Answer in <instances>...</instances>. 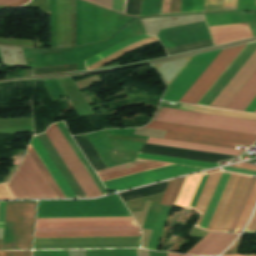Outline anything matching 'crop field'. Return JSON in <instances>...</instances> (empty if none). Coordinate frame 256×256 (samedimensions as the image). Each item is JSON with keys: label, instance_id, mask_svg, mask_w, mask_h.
Listing matches in <instances>:
<instances>
[{"label": "crop field", "instance_id": "32", "mask_svg": "<svg viewBox=\"0 0 256 256\" xmlns=\"http://www.w3.org/2000/svg\"><path fill=\"white\" fill-rule=\"evenodd\" d=\"M0 198H14L6 184L0 185Z\"/></svg>", "mask_w": 256, "mask_h": 256}, {"label": "crop field", "instance_id": "25", "mask_svg": "<svg viewBox=\"0 0 256 256\" xmlns=\"http://www.w3.org/2000/svg\"><path fill=\"white\" fill-rule=\"evenodd\" d=\"M255 201H256V182L254 184V187L250 193V196L246 202V205L241 213V216H240L233 232L239 233L241 231V229L243 228V226L253 208Z\"/></svg>", "mask_w": 256, "mask_h": 256}, {"label": "crop field", "instance_id": "22", "mask_svg": "<svg viewBox=\"0 0 256 256\" xmlns=\"http://www.w3.org/2000/svg\"><path fill=\"white\" fill-rule=\"evenodd\" d=\"M57 126L59 127L64 137L66 138V140L68 141V143L70 144V146L72 147V149L74 150L78 158L80 159L81 163L83 164V166L85 167V169L87 170V172L89 173L93 181L95 182L96 186L98 187L102 195L107 194V191L103 187L102 183L100 182V180L98 179V177L96 176L92 168L90 167L89 163L87 162V160L85 159V157L83 156L79 148L77 147L76 143L70 136L64 122L57 123Z\"/></svg>", "mask_w": 256, "mask_h": 256}, {"label": "crop field", "instance_id": "30", "mask_svg": "<svg viewBox=\"0 0 256 256\" xmlns=\"http://www.w3.org/2000/svg\"><path fill=\"white\" fill-rule=\"evenodd\" d=\"M223 0H205L204 11L222 10Z\"/></svg>", "mask_w": 256, "mask_h": 256}, {"label": "crop field", "instance_id": "3", "mask_svg": "<svg viewBox=\"0 0 256 256\" xmlns=\"http://www.w3.org/2000/svg\"><path fill=\"white\" fill-rule=\"evenodd\" d=\"M131 216L117 194L95 200L39 201L37 218Z\"/></svg>", "mask_w": 256, "mask_h": 256}, {"label": "crop field", "instance_id": "7", "mask_svg": "<svg viewBox=\"0 0 256 256\" xmlns=\"http://www.w3.org/2000/svg\"><path fill=\"white\" fill-rule=\"evenodd\" d=\"M157 121L256 135V121L161 108Z\"/></svg>", "mask_w": 256, "mask_h": 256}, {"label": "crop field", "instance_id": "38", "mask_svg": "<svg viewBox=\"0 0 256 256\" xmlns=\"http://www.w3.org/2000/svg\"><path fill=\"white\" fill-rule=\"evenodd\" d=\"M223 169L227 170V171H233V172H239V173H246V174L256 175V172H254V171H248V170H242V169H236V168H230V167H225Z\"/></svg>", "mask_w": 256, "mask_h": 256}, {"label": "crop field", "instance_id": "46", "mask_svg": "<svg viewBox=\"0 0 256 256\" xmlns=\"http://www.w3.org/2000/svg\"><path fill=\"white\" fill-rule=\"evenodd\" d=\"M256 112V111H255Z\"/></svg>", "mask_w": 256, "mask_h": 256}, {"label": "crop field", "instance_id": "31", "mask_svg": "<svg viewBox=\"0 0 256 256\" xmlns=\"http://www.w3.org/2000/svg\"><path fill=\"white\" fill-rule=\"evenodd\" d=\"M29 0H24L22 2V0H0V5H3V6H11V5H14V4H17V3H20V4H17V5H14L13 7H18L22 4H25L27 3Z\"/></svg>", "mask_w": 256, "mask_h": 256}, {"label": "crop field", "instance_id": "19", "mask_svg": "<svg viewBox=\"0 0 256 256\" xmlns=\"http://www.w3.org/2000/svg\"><path fill=\"white\" fill-rule=\"evenodd\" d=\"M192 0H163L161 14L190 12ZM204 0H193L191 12L203 11Z\"/></svg>", "mask_w": 256, "mask_h": 256}, {"label": "crop field", "instance_id": "13", "mask_svg": "<svg viewBox=\"0 0 256 256\" xmlns=\"http://www.w3.org/2000/svg\"><path fill=\"white\" fill-rule=\"evenodd\" d=\"M245 45L222 50L179 102L196 104Z\"/></svg>", "mask_w": 256, "mask_h": 256}, {"label": "crop field", "instance_id": "12", "mask_svg": "<svg viewBox=\"0 0 256 256\" xmlns=\"http://www.w3.org/2000/svg\"><path fill=\"white\" fill-rule=\"evenodd\" d=\"M67 167L87 195V197L101 196V193L95 186L94 182L78 160L77 156L63 137L62 133L56 126L51 125L45 132Z\"/></svg>", "mask_w": 256, "mask_h": 256}, {"label": "crop field", "instance_id": "36", "mask_svg": "<svg viewBox=\"0 0 256 256\" xmlns=\"http://www.w3.org/2000/svg\"><path fill=\"white\" fill-rule=\"evenodd\" d=\"M245 231H253L256 232V210L255 213L250 221V223L248 224V226L246 227Z\"/></svg>", "mask_w": 256, "mask_h": 256}, {"label": "crop field", "instance_id": "1", "mask_svg": "<svg viewBox=\"0 0 256 256\" xmlns=\"http://www.w3.org/2000/svg\"><path fill=\"white\" fill-rule=\"evenodd\" d=\"M220 170L204 173L189 208L198 212L215 173ZM250 177L225 171L218 172L199 210L202 216L196 227L207 231L226 232Z\"/></svg>", "mask_w": 256, "mask_h": 256}, {"label": "crop field", "instance_id": "6", "mask_svg": "<svg viewBox=\"0 0 256 256\" xmlns=\"http://www.w3.org/2000/svg\"><path fill=\"white\" fill-rule=\"evenodd\" d=\"M35 201L7 202L2 249H30Z\"/></svg>", "mask_w": 256, "mask_h": 256}, {"label": "crop field", "instance_id": "33", "mask_svg": "<svg viewBox=\"0 0 256 256\" xmlns=\"http://www.w3.org/2000/svg\"><path fill=\"white\" fill-rule=\"evenodd\" d=\"M125 1L126 0H114L113 9L124 13Z\"/></svg>", "mask_w": 256, "mask_h": 256}, {"label": "crop field", "instance_id": "18", "mask_svg": "<svg viewBox=\"0 0 256 256\" xmlns=\"http://www.w3.org/2000/svg\"><path fill=\"white\" fill-rule=\"evenodd\" d=\"M141 236V231L35 233V238Z\"/></svg>", "mask_w": 256, "mask_h": 256}, {"label": "crop field", "instance_id": "2", "mask_svg": "<svg viewBox=\"0 0 256 256\" xmlns=\"http://www.w3.org/2000/svg\"><path fill=\"white\" fill-rule=\"evenodd\" d=\"M171 165L169 163H162V162H155V161H147V160H140L135 159L133 162H129L123 165H119L113 168L97 171L102 182L136 174L139 172L163 167ZM206 168H199V167H191V166H184V165H171L143 173H139L136 175L104 182L106 189H113V190H122L198 170H203Z\"/></svg>", "mask_w": 256, "mask_h": 256}, {"label": "crop field", "instance_id": "16", "mask_svg": "<svg viewBox=\"0 0 256 256\" xmlns=\"http://www.w3.org/2000/svg\"><path fill=\"white\" fill-rule=\"evenodd\" d=\"M210 31L216 45L253 37L248 23L212 27Z\"/></svg>", "mask_w": 256, "mask_h": 256}, {"label": "crop field", "instance_id": "23", "mask_svg": "<svg viewBox=\"0 0 256 256\" xmlns=\"http://www.w3.org/2000/svg\"><path fill=\"white\" fill-rule=\"evenodd\" d=\"M180 109L256 120V114L182 104Z\"/></svg>", "mask_w": 256, "mask_h": 256}, {"label": "crop field", "instance_id": "39", "mask_svg": "<svg viewBox=\"0 0 256 256\" xmlns=\"http://www.w3.org/2000/svg\"><path fill=\"white\" fill-rule=\"evenodd\" d=\"M231 167H237V168H243V169H249V170H255L256 171V166L251 165V164H247V163H242V164H238V165H234Z\"/></svg>", "mask_w": 256, "mask_h": 256}, {"label": "crop field", "instance_id": "20", "mask_svg": "<svg viewBox=\"0 0 256 256\" xmlns=\"http://www.w3.org/2000/svg\"><path fill=\"white\" fill-rule=\"evenodd\" d=\"M147 143L171 146V147H178V148H185V149L207 151V152H214V153H221V154H228V155H235V156H238L240 153V151H238V150L210 147V146H203V145H196V144H189V143H182V142L167 141V140L152 138V137L148 138Z\"/></svg>", "mask_w": 256, "mask_h": 256}, {"label": "crop field", "instance_id": "45", "mask_svg": "<svg viewBox=\"0 0 256 256\" xmlns=\"http://www.w3.org/2000/svg\"><path fill=\"white\" fill-rule=\"evenodd\" d=\"M2 239H0V249H1Z\"/></svg>", "mask_w": 256, "mask_h": 256}, {"label": "crop field", "instance_id": "11", "mask_svg": "<svg viewBox=\"0 0 256 256\" xmlns=\"http://www.w3.org/2000/svg\"><path fill=\"white\" fill-rule=\"evenodd\" d=\"M157 37L168 55L215 45L206 22L160 30Z\"/></svg>", "mask_w": 256, "mask_h": 256}, {"label": "crop field", "instance_id": "14", "mask_svg": "<svg viewBox=\"0 0 256 256\" xmlns=\"http://www.w3.org/2000/svg\"><path fill=\"white\" fill-rule=\"evenodd\" d=\"M236 235L208 233L186 254L219 255ZM237 237V236H236Z\"/></svg>", "mask_w": 256, "mask_h": 256}, {"label": "crop field", "instance_id": "8", "mask_svg": "<svg viewBox=\"0 0 256 256\" xmlns=\"http://www.w3.org/2000/svg\"><path fill=\"white\" fill-rule=\"evenodd\" d=\"M30 144L66 198L86 197L45 133Z\"/></svg>", "mask_w": 256, "mask_h": 256}, {"label": "crop field", "instance_id": "34", "mask_svg": "<svg viewBox=\"0 0 256 256\" xmlns=\"http://www.w3.org/2000/svg\"><path fill=\"white\" fill-rule=\"evenodd\" d=\"M5 256H31V251H6Z\"/></svg>", "mask_w": 256, "mask_h": 256}, {"label": "crop field", "instance_id": "15", "mask_svg": "<svg viewBox=\"0 0 256 256\" xmlns=\"http://www.w3.org/2000/svg\"><path fill=\"white\" fill-rule=\"evenodd\" d=\"M148 37H151V36L142 35V36L132 37V38L126 40V41L123 40L124 42H121V43H119V44H117V45H115V46H113V47H111V48H109V49H107V50H105V51H103V52H101V53H99V54H97V55L87 59V60H85V64H86V66L90 65V64H92V63L102 59L103 57L113 53L114 51H116V50H118V49H120V48H122V47H124V46H126L128 44H131L133 42H136V41L148 38ZM153 41H157V38L156 37H151V38H148V39H145V40L133 43L131 45H128V46H126V47H124V48L114 52L113 54L103 58L102 60H100V61H98V62H96V63H94V64H92V65H90L88 67H86V68H87V70L94 69L95 67H97V66H99V65H101V64H103V63H105V62H107V61H109V60H111V59H113V58H115V57H117V56H119V55H121V54H123V53H125V52H127V51H129L131 49H133V48H135V47H138L140 45H143V44H146V43H149V42H153Z\"/></svg>", "mask_w": 256, "mask_h": 256}, {"label": "crop field", "instance_id": "44", "mask_svg": "<svg viewBox=\"0 0 256 256\" xmlns=\"http://www.w3.org/2000/svg\"><path fill=\"white\" fill-rule=\"evenodd\" d=\"M5 255V251H0V256H4Z\"/></svg>", "mask_w": 256, "mask_h": 256}, {"label": "crop field", "instance_id": "17", "mask_svg": "<svg viewBox=\"0 0 256 256\" xmlns=\"http://www.w3.org/2000/svg\"><path fill=\"white\" fill-rule=\"evenodd\" d=\"M256 97V71L225 108L244 111Z\"/></svg>", "mask_w": 256, "mask_h": 256}, {"label": "crop field", "instance_id": "5", "mask_svg": "<svg viewBox=\"0 0 256 256\" xmlns=\"http://www.w3.org/2000/svg\"><path fill=\"white\" fill-rule=\"evenodd\" d=\"M145 128L167 131L165 139L236 149L238 144L254 143L256 136L151 121Z\"/></svg>", "mask_w": 256, "mask_h": 256}, {"label": "crop field", "instance_id": "10", "mask_svg": "<svg viewBox=\"0 0 256 256\" xmlns=\"http://www.w3.org/2000/svg\"><path fill=\"white\" fill-rule=\"evenodd\" d=\"M6 184L15 198H57L28 152Z\"/></svg>", "mask_w": 256, "mask_h": 256}, {"label": "crop field", "instance_id": "28", "mask_svg": "<svg viewBox=\"0 0 256 256\" xmlns=\"http://www.w3.org/2000/svg\"><path fill=\"white\" fill-rule=\"evenodd\" d=\"M162 0H143L141 16L160 14Z\"/></svg>", "mask_w": 256, "mask_h": 256}, {"label": "crop field", "instance_id": "29", "mask_svg": "<svg viewBox=\"0 0 256 256\" xmlns=\"http://www.w3.org/2000/svg\"><path fill=\"white\" fill-rule=\"evenodd\" d=\"M255 180H256V177L252 176V179H251V181H250V183L248 185V188H247V190H246V192L244 194V197H243V199H242V201L240 203V206H239V208H238V210L236 212V215H235V217H234V219L232 221V224H231L228 232H232L233 231V229H234V227L236 225V222H237V220H238V218L240 216V213H241V211H242V209L244 207V204H245V202H246V200H247V198L249 196V193H250V191H251V189L253 187V184H254Z\"/></svg>", "mask_w": 256, "mask_h": 256}, {"label": "crop field", "instance_id": "21", "mask_svg": "<svg viewBox=\"0 0 256 256\" xmlns=\"http://www.w3.org/2000/svg\"><path fill=\"white\" fill-rule=\"evenodd\" d=\"M203 173L188 176L186 178L184 185L174 203L175 205L186 208L189 207Z\"/></svg>", "mask_w": 256, "mask_h": 256}, {"label": "crop field", "instance_id": "43", "mask_svg": "<svg viewBox=\"0 0 256 256\" xmlns=\"http://www.w3.org/2000/svg\"><path fill=\"white\" fill-rule=\"evenodd\" d=\"M229 256H240V255H229ZM241 256H254V255H241Z\"/></svg>", "mask_w": 256, "mask_h": 256}, {"label": "crop field", "instance_id": "40", "mask_svg": "<svg viewBox=\"0 0 256 256\" xmlns=\"http://www.w3.org/2000/svg\"><path fill=\"white\" fill-rule=\"evenodd\" d=\"M6 202H0V222L4 223Z\"/></svg>", "mask_w": 256, "mask_h": 256}, {"label": "crop field", "instance_id": "42", "mask_svg": "<svg viewBox=\"0 0 256 256\" xmlns=\"http://www.w3.org/2000/svg\"><path fill=\"white\" fill-rule=\"evenodd\" d=\"M167 256H182V255L173 254V253H167Z\"/></svg>", "mask_w": 256, "mask_h": 256}, {"label": "crop field", "instance_id": "41", "mask_svg": "<svg viewBox=\"0 0 256 256\" xmlns=\"http://www.w3.org/2000/svg\"><path fill=\"white\" fill-rule=\"evenodd\" d=\"M256 110V98L252 101V103L247 107L245 111L254 112Z\"/></svg>", "mask_w": 256, "mask_h": 256}, {"label": "crop field", "instance_id": "37", "mask_svg": "<svg viewBox=\"0 0 256 256\" xmlns=\"http://www.w3.org/2000/svg\"><path fill=\"white\" fill-rule=\"evenodd\" d=\"M112 9L113 0H89Z\"/></svg>", "mask_w": 256, "mask_h": 256}, {"label": "crop field", "instance_id": "35", "mask_svg": "<svg viewBox=\"0 0 256 256\" xmlns=\"http://www.w3.org/2000/svg\"><path fill=\"white\" fill-rule=\"evenodd\" d=\"M237 0H224L223 10L236 9Z\"/></svg>", "mask_w": 256, "mask_h": 256}, {"label": "crop field", "instance_id": "9", "mask_svg": "<svg viewBox=\"0 0 256 256\" xmlns=\"http://www.w3.org/2000/svg\"><path fill=\"white\" fill-rule=\"evenodd\" d=\"M140 230L133 217L37 219L35 232Z\"/></svg>", "mask_w": 256, "mask_h": 256}, {"label": "crop field", "instance_id": "27", "mask_svg": "<svg viewBox=\"0 0 256 256\" xmlns=\"http://www.w3.org/2000/svg\"><path fill=\"white\" fill-rule=\"evenodd\" d=\"M28 151L31 154V156L33 157V159L36 162V164L38 165V167L40 168V170L42 171V173L44 174L45 178L47 179V181L49 182L51 187L53 188V190L56 193V195L58 196V198H64V196H63L64 194L62 195V193H61L62 191L60 192V190H59L60 188L58 189V187H57L58 185L56 186L55 182L53 181V179L51 178V176L49 175V173L47 172V170L45 169V167L43 166V164L41 163L38 156L36 155V153L34 152V150L32 149V147L30 145H29Z\"/></svg>", "mask_w": 256, "mask_h": 256}, {"label": "crop field", "instance_id": "24", "mask_svg": "<svg viewBox=\"0 0 256 256\" xmlns=\"http://www.w3.org/2000/svg\"><path fill=\"white\" fill-rule=\"evenodd\" d=\"M137 158L148 159V160H156V161H164V162H172V163H179V164H186V165L206 167V168H212V167H216V166L219 165V164H215V163L200 162V161H193V160H186V159H178V158H171V157H164V156H157V155H149V154H142V153H139Z\"/></svg>", "mask_w": 256, "mask_h": 256}, {"label": "crop field", "instance_id": "4", "mask_svg": "<svg viewBox=\"0 0 256 256\" xmlns=\"http://www.w3.org/2000/svg\"><path fill=\"white\" fill-rule=\"evenodd\" d=\"M248 44L245 46V48ZM244 48V49H245ZM243 49V50H244ZM243 50L239 53V55L243 52ZM256 51V42L250 43L249 46L244 50V52L234 59L233 62L228 66V68L222 73V75L216 80V82L210 87V89L205 93V95L199 100L197 105L209 106L211 102L217 97V95L222 91V89L228 84V82L234 77V75L239 71V69L245 64V62L251 57V55ZM256 70V52L252 55V57L246 62V64L240 69V71L235 75V77L229 82V84L223 89V91L218 95V97L212 102L210 106L212 107H220L224 108L226 104L231 100V98L237 93V91L242 87V85L248 80V78L253 74Z\"/></svg>", "mask_w": 256, "mask_h": 256}, {"label": "crop field", "instance_id": "26", "mask_svg": "<svg viewBox=\"0 0 256 256\" xmlns=\"http://www.w3.org/2000/svg\"><path fill=\"white\" fill-rule=\"evenodd\" d=\"M183 179H184V177L175 179V180H171L169 182L167 189L163 195V198L160 202L161 204H164V205H167L170 207L172 206Z\"/></svg>", "mask_w": 256, "mask_h": 256}]
</instances>
